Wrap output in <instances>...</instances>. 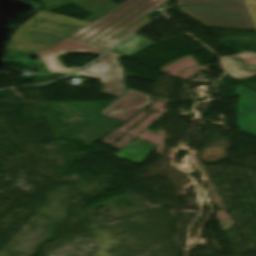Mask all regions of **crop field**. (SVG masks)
Returning <instances> with one entry per match:
<instances>
[{
	"label": "crop field",
	"mask_w": 256,
	"mask_h": 256,
	"mask_svg": "<svg viewBox=\"0 0 256 256\" xmlns=\"http://www.w3.org/2000/svg\"><path fill=\"white\" fill-rule=\"evenodd\" d=\"M122 57L112 51L100 60L74 73L79 76L100 80V93L118 97L99 114L125 122L140 110L151 104L152 96L124 87Z\"/></svg>",
	"instance_id": "8a807250"
},
{
	"label": "crop field",
	"mask_w": 256,
	"mask_h": 256,
	"mask_svg": "<svg viewBox=\"0 0 256 256\" xmlns=\"http://www.w3.org/2000/svg\"><path fill=\"white\" fill-rule=\"evenodd\" d=\"M178 11L207 27L255 30L242 0H173Z\"/></svg>",
	"instance_id": "ac0d7876"
},
{
	"label": "crop field",
	"mask_w": 256,
	"mask_h": 256,
	"mask_svg": "<svg viewBox=\"0 0 256 256\" xmlns=\"http://www.w3.org/2000/svg\"><path fill=\"white\" fill-rule=\"evenodd\" d=\"M151 11L152 9L140 5L88 39L86 42L108 48L123 37L149 22L150 19L148 13Z\"/></svg>",
	"instance_id": "34b2d1b8"
},
{
	"label": "crop field",
	"mask_w": 256,
	"mask_h": 256,
	"mask_svg": "<svg viewBox=\"0 0 256 256\" xmlns=\"http://www.w3.org/2000/svg\"><path fill=\"white\" fill-rule=\"evenodd\" d=\"M105 50L106 48L68 38L50 49L38 52V55L53 74L65 75L78 67L65 68L59 56L66 55L68 52L89 53L99 56Z\"/></svg>",
	"instance_id": "412701ff"
},
{
	"label": "crop field",
	"mask_w": 256,
	"mask_h": 256,
	"mask_svg": "<svg viewBox=\"0 0 256 256\" xmlns=\"http://www.w3.org/2000/svg\"><path fill=\"white\" fill-rule=\"evenodd\" d=\"M164 2L166 0H126L73 35L72 38L85 41L140 4L154 9Z\"/></svg>",
	"instance_id": "f4fd0767"
},
{
	"label": "crop field",
	"mask_w": 256,
	"mask_h": 256,
	"mask_svg": "<svg viewBox=\"0 0 256 256\" xmlns=\"http://www.w3.org/2000/svg\"><path fill=\"white\" fill-rule=\"evenodd\" d=\"M237 125L241 132L256 136V92L238 84Z\"/></svg>",
	"instance_id": "dd49c442"
},
{
	"label": "crop field",
	"mask_w": 256,
	"mask_h": 256,
	"mask_svg": "<svg viewBox=\"0 0 256 256\" xmlns=\"http://www.w3.org/2000/svg\"><path fill=\"white\" fill-rule=\"evenodd\" d=\"M228 74L243 80L256 74V54L243 51L235 56L222 57Z\"/></svg>",
	"instance_id": "e52e79f7"
},
{
	"label": "crop field",
	"mask_w": 256,
	"mask_h": 256,
	"mask_svg": "<svg viewBox=\"0 0 256 256\" xmlns=\"http://www.w3.org/2000/svg\"><path fill=\"white\" fill-rule=\"evenodd\" d=\"M155 147V145L134 139L114 156L141 164Z\"/></svg>",
	"instance_id": "d8731c3e"
},
{
	"label": "crop field",
	"mask_w": 256,
	"mask_h": 256,
	"mask_svg": "<svg viewBox=\"0 0 256 256\" xmlns=\"http://www.w3.org/2000/svg\"><path fill=\"white\" fill-rule=\"evenodd\" d=\"M154 44H156V43L135 34L132 37H130L129 39H127L124 42H122L121 44H119L118 46H116L112 50H114L126 57H129V56H131L141 50H144Z\"/></svg>",
	"instance_id": "5a996713"
},
{
	"label": "crop field",
	"mask_w": 256,
	"mask_h": 256,
	"mask_svg": "<svg viewBox=\"0 0 256 256\" xmlns=\"http://www.w3.org/2000/svg\"><path fill=\"white\" fill-rule=\"evenodd\" d=\"M256 27V0H243Z\"/></svg>",
	"instance_id": "3316defc"
}]
</instances>
